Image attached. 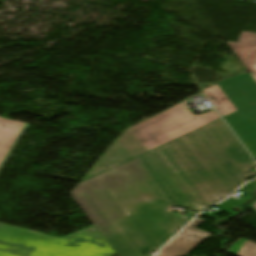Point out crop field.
<instances>
[{
    "label": "crop field",
    "instance_id": "obj_10",
    "mask_svg": "<svg viewBox=\"0 0 256 256\" xmlns=\"http://www.w3.org/2000/svg\"><path fill=\"white\" fill-rule=\"evenodd\" d=\"M203 92L210 99L214 107L220 112L222 117L237 110L217 84L204 89Z\"/></svg>",
    "mask_w": 256,
    "mask_h": 256
},
{
    "label": "crop field",
    "instance_id": "obj_11",
    "mask_svg": "<svg viewBox=\"0 0 256 256\" xmlns=\"http://www.w3.org/2000/svg\"><path fill=\"white\" fill-rule=\"evenodd\" d=\"M239 191L245 193L246 196L242 199H239V200L229 198L226 201H224L223 203H221V204H219L215 207L220 208V209L226 211L227 213H229L231 215L235 214V212L232 211V208L235 207L236 205L240 204V203H243V202L247 201L253 195V194L247 193L246 191H243V190H239Z\"/></svg>",
    "mask_w": 256,
    "mask_h": 256
},
{
    "label": "crop field",
    "instance_id": "obj_14",
    "mask_svg": "<svg viewBox=\"0 0 256 256\" xmlns=\"http://www.w3.org/2000/svg\"><path fill=\"white\" fill-rule=\"evenodd\" d=\"M255 184H256V182L253 181V182H251V183L245 185V186H244V189L248 190L249 192H252V191H253V187H254Z\"/></svg>",
    "mask_w": 256,
    "mask_h": 256
},
{
    "label": "crop field",
    "instance_id": "obj_15",
    "mask_svg": "<svg viewBox=\"0 0 256 256\" xmlns=\"http://www.w3.org/2000/svg\"><path fill=\"white\" fill-rule=\"evenodd\" d=\"M219 212H223V211H221V210L219 209V210L216 211V212H212V213L203 212L202 214L209 215V216H214L215 214H217V213H219ZM214 217H216V216H214ZM216 218H218V217H216ZM218 219H219V218H218Z\"/></svg>",
    "mask_w": 256,
    "mask_h": 256
},
{
    "label": "crop field",
    "instance_id": "obj_2",
    "mask_svg": "<svg viewBox=\"0 0 256 256\" xmlns=\"http://www.w3.org/2000/svg\"><path fill=\"white\" fill-rule=\"evenodd\" d=\"M151 153L196 212L228 196L256 166L221 119Z\"/></svg>",
    "mask_w": 256,
    "mask_h": 256
},
{
    "label": "crop field",
    "instance_id": "obj_6",
    "mask_svg": "<svg viewBox=\"0 0 256 256\" xmlns=\"http://www.w3.org/2000/svg\"><path fill=\"white\" fill-rule=\"evenodd\" d=\"M203 220L196 218L189 225L196 227ZM188 225V226H189ZM210 233L187 227L175 237L157 256H183L205 239Z\"/></svg>",
    "mask_w": 256,
    "mask_h": 256
},
{
    "label": "crop field",
    "instance_id": "obj_13",
    "mask_svg": "<svg viewBox=\"0 0 256 256\" xmlns=\"http://www.w3.org/2000/svg\"><path fill=\"white\" fill-rule=\"evenodd\" d=\"M243 241H244V238L239 239L238 241L233 243L226 252L236 256V254L239 251Z\"/></svg>",
    "mask_w": 256,
    "mask_h": 256
},
{
    "label": "crop field",
    "instance_id": "obj_8",
    "mask_svg": "<svg viewBox=\"0 0 256 256\" xmlns=\"http://www.w3.org/2000/svg\"><path fill=\"white\" fill-rule=\"evenodd\" d=\"M228 44L247 70L256 72V34L242 32L238 43Z\"/></svg>",
    "mask_w": 256,
    "mask_h": 256
},
{
    "label": "crop field",
    "instance_id": "obj_17",
    "mask_svg": "<svg viewBox=\"0 0 256 256\" xmlns=\"http://www.w3.org/2000/svg\"><path fill=\"white\" fill-rule=\"evenodd\" d=\"M251 73V72H250ZM251 75L253 76V78L256 80V73H251Z\"/></svg>",
    "mask_w": 256,
    "mask_h": 256
},
{
    "label": "crop field",
    "instance_id": "obj_16",
    "mask_svg": "<svg viewBox=\"0 0 256 256\" xmlns=\"http://www.w3.org/2000/svg\"><path fill=\"white\" fill-rule=\"evenodd\" d=\"M250 206L254 210V212L256 213V201L254 203H252Z\"/></svg>",
    "mask_w": 256,
    "mask_h": 256
},
{
    "label": "crop field",
    "instance_id": "obj_4",
    "mask_svg": "<svg viewBox=\"0 0 256 256\" xmlns=\"http://www.w3.org/2000/svg\"><path fill=\"white\" fill-rule=\"evenodd\" d=\"M93 225L57 238L0 223V256H113Z\"/></svg>",
    "mask_w": 256,
    "mask_h": 256
},
{
    "label": "crop field",
    "instance_id": "obj_5",
    "mask_svg": "<svg viewBox=\"0 0 256 256\" xmlns=\"http://www.w3.org/2000/svg\"><path fill=\"white\" fill-rule=\"evenodd\" d=\"M238 111L224 117L256 160V82L247 73L217 83Z\"/></svg>",
    "mask_w": 256,
    "mask_h": 256
},
{
    "label": "crop field",
    "instance_id": "obj_1",
    "mask_svg": "<svg viewBox=\"0 0 256 256\" xmlns=\"http://www.w3.org/2000/svg\"><path fill=\"white\" fill-rule=\"evenodd\" d=\"M118 256H152L188 218L140 157L78 183L70 193Z\"/></svg>",
    "mask_w": 256,
    "mask_h": 256
},
{
    "label": "crop field",
    "instance_id": "obj_12",
    "mask_svg": "<svg viewBox=\"0 0 256 256\" xmlns=\"http://www.w3.org/2000/svg\"><path fill=\"white\" fill-rule=\"evenodd\" d=\"M237 256H256V244L246 239Z\"/></svg>",
    "mask_w": 256,
    "mask_h": 256
},
{
    "label": "crop field",
    "instance_id": "obj_3",
    "mask_svg": "<svg viewBox=\"0 0 256 256\" xmlns=\"http://www.w3.org/2000/svg\"><path fill=\"white\" fill-rule=\"evenodd\" d=\"M184 105L179 103L165 112L124 130L81 181L117 167L219 119L215 111L194 116ZM193 117L195 119H192Z\"/></svg>",
    "mask_w": 256,
    "mask_h": 256
},
{
    "label": "crop field",
    "instance_id": "obj_9",
    "mask_svg": "<svg viewBox=\"0 0 256 256\" xmlns=\"http://www.w3.org/2000/svg\"><path fill=\"white\" fill-rule=\"evenodd\" d=\"M144 159L148 162V164L152 167L170 193L175 197V199L182 205L193 209L187 199L182 195V193L177 189V187L173 184V182L169 179L166 173L162 170L153 156L149 153L143 155ZM194 210V209H193Z\"/></svg>",
    "mask_w": 256,
    "mask_h": 256
},
{
    "label": "crop field",
    "instance_id": "obj_7",
    "mask_svg": "<svg viewBox=\"0 0 256 256\" xmlns=\"http://www.w3.org/2000/svg\"><path fill=\"white\" fill-rule=\"evenodd\" d=\"M27 126V123L0 118V173Z\"/></svg>",
    "mask_w": 256,
    "mask_h": 256
}]
</instances>
